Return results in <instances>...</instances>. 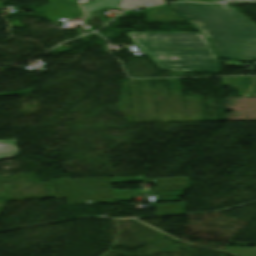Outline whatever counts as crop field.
<instances>
[{
  "label": "crop field",
  "instance_id": "7",
  "mask_svg": "<svg viewBox=\"0 0 256 256\" xmlns=\"http://www.w3.org/2000/svg\"><path fill=\"white\" fill-rule=\"evenodd\" d=\"M224 2H256V0H223Z\"/></svg>",
  "mask_w": 256,
  "mask_h": 256
},
{
  "label": "crop field",
  "instance_id": "2",
  "mask_svg": "<svg viewBox=\"0 0 256 256\" xmlns=\"http://www.w3.org/2000/svg\"><path fill=\"white\" fill-rule=\"evenodd\" d=\"M126 34L162 70L220 72L213 49L201 33Z\"/></svg>",
  "mask_w": 256,
  "mask_h": 256
},
{
  "label": "crop field",
  "instance_id": "4",
  "mask_svg": "<svg viewBox=\"0 0 256 256\" xmlns=\"http://www.w3.org/2000/svg\"><path fill=\"white\" fill-rule=\"evenodd\" d=\"M121 0H95V3L83 5L88 19H91L89 11L101 8H118Z\"/></svg>",
  "mask_w": 256,
  "mask_h": 256
},
{
  "label": "crop field",
  "instance_id": "3",
  "mask_svg": "<svg viewBox=\"0 0 256 256\" xmlns=\"http://www.w3.org/2000/svg\"><path fill=\"white\" fill-rule=\"evenodd\" d=\"M238 77L222 78L223 86H233ZM234 86L240 90L241 97L256 96V77H240Z\"/></svg>",
  "mask_w": 256,
  "mask_h": 256
},
{
  "label": "crop field",
  "instance_id": "5",
  "mask_svg": "<svg viewBox=\"0 0 256 256\" xmlns=\"http://www.w3.org/2000/svg\"><path fill=\"white\" fill-rule=\"evenodd\" d=\"M16 140H1L0 141V159L14 157L19 154L15 147Z\"/></svg>",
  "mask_w": 256,
  "mask_h": 256
},
{
  "label": "crop field",
  "instance_id": "8",
  "mask_svg": "<svg viewBox=\"0 0 256 256\" xmlns=\"http://www.w3.org/2000/svg\"><path fill=\"white\" fill-rule=\"evenodd\" d=\"M77 30H78L79 34L81 35V33H80V29H77Z\"/></svg>",
  "mask_w": 256,
  "mask_h": 256
},
{
  "label": "crop field",
  "instance_id": "1",
  "mask_svg": "<svg viewBox=\"0 0 256 256\" xmlns=\"http://www.w3.org/2000/svg\"><path fill=\"white\" fill-rule=\"evenodd\" d=\"M171 7L211 41L219 58L256 59V26L223 4L173 3Z\"/></svg>",
  "mask_w": 256,
  "mask_h": 256
},
{
  "label": "crop field",
  "instance_id": "6",
  "mask_svg": "<svg viewBox=\"0 0 256 256\" xmlns=\"http://www.w3.org/2000/svg\"><path fill=\"white\" fill-rule=\"evenodd\" d=\"M146 3L154 4H161L164 3V0H135L136 7L133 5L132 0H122L120 7L121 9H129V8H139L146 6Z\"/></svg>",
  "mask_w": 256,
  "mask_h": 256
}]
</instances>
